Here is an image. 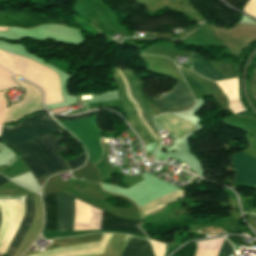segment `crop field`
I'll use <instances>...</instances> for the list:
<instances>
[{
	"label": "crop field",
	"instance_id": "crop-field-9",
	"mask_svg": "<svg viewBox=\"0 0 256 256\" xmlns=\"http://www.w3.org/2000/svg\"><path fill=\"white\" fill-rule=\"evenodd\" d=\"M159 122L168 130L176 134L177 136L183 135L187 130L194 127L193 125L171 115L164 114L158 117Z\"/></svg>",
	"mask_w": 256,
	"mask_h": 256
},
{
	"label": "crop field",
	"instance_id": "crop-field-8",
	"mask_svg": "<svg viewBox=\"0 0 256 256\" xmlns=\"http://www.w3.org/2000/svg\"><path fill=\"white\" fill-rule=\"evenodd\" d=\"M121 256H155L147 240L131 237L124 245Z\"/></svg>",
	"mask_w": 256,
	"mask_h": 256
},
{
	"label": "crop field",
	"instance_id": "crop-field-5",
	"mask_svg": "<svg viewBox=\"0 0 256 256\" xmlns=\"http://www.w3.org/2000/svg\"><path fill=\"white\" fill-rule=\"evenodd\" d=\"M63 23L58 20L44 18L26 13L19 12H0V26H15L21 28H32L41 24Z\"/></svg>",
	"mask_w": 256,
	"mask_h": 256
},
{
	"label": "crop field",
	"instance_id": "crop-field-7",
	"mask_svg": "<svg viewBox=\"0 0 256 256\" xmlns=\"http://www.w3.org/2000/svg\"><path fill=\"white\" fill-rule=\"evenodd\" d=\"M34 209L32 196L25 197V217L20 225V228L5 256H12L25 235L33 218Z\"/></svg>",
	"mask_w": 256,
	"mask_h": 256
},
{
	"label": "crop field",
	"instance_id": "crop-field-14",
	"mask_svg": "<svg viewBox=\"0 0 256 256\" xmlns=\"http://www.w3.org/2000/svg\"><path fill=\"white\" fill-rule=\"evenodd\" d=\"M7 181H9V180H7L6 178L0 176V185L5 183V182H7Z\"/></svg>",
	"mask_w": 256,
	"mask_h": 256
},
{
	"label": "crop field",
	"instance_id": "crop-field-15",
	"mask_svg": "<svg viewBox=\"0 0 256 256\" xmlns=\"http://www.w3.org/2000/svg\"><path fill=\"white\" fill-rule=\"evenodd\" d=\"M248 216L252 217L253 219H256V216L248 214Z\"/></svg>",
	"mask_w": 256,
	"mask_h": 256
},
{
	"label": "crop field",
	"instance_id": "crop-field-6",
	"mask_svg": "<svg viewBox=\"0 0 256 256\" xmlns=\"http://www.w3.org/2000/svg\"><path fill=\"white\" fill-rule=\"evenodd\" d=\"M254 164H256V159L241 152L236 154ZM233 155L232 162H233V167L236 170V176L235 180L236 182H241V183H252L256 184V165L236 156Z\"/></svg>",
	"mask_w": 256,
	"mask_h": 256
},
{
	"label": "crop field",
	"instance_id": "crop-field-13",
	"mask_svg": "<svg viewBox=\"0 0 256 256\" xmlns=\"http://www.w3.org/2000/svg\"><path fill=\"white\" fill-rule=\"evenodd\" d=\"M85 159H86V156H85V153H83L79 157L68 161L67 163L69 165L70 170H74L80 167L84 163Z\"/></svg>",
	"mask_w": 256,
	"mask_h": 256
},
{
	"label": "crop field",
	"instance_id": "crop-field-2",
	"mask_svg": "<svg viewBox=\"0 0 256 256\" xmlns=\"http://www.w3.org/2000/svg\"><path fill=\"white\" fill-rule=\"evenodd\" d=\"M115 69H116V68H115ZM115 69L113 68V69H111V70H112V72H113V74H114V76H115V80H116L117 86H118V88H119L120 102H121L122 107H123V109H124V112H125V114H126L128 123H129V124L131 125V127L135 130V132L141 137V139H142V141H143L144 144L149 143V142L151 143V142L155 141V139L158 140V139L160 138V136H159V134H158V132H157L155 126H154V123H153V120H154L155 116L158 115V114H160L161 111H162V113H164V112L181 111L180 107L178 106V104H177L176 101L174 100L173 96L171 95L170 90H169V92H168L167 94H165L164 96L160 97L159 99H154V100L156 101L157 105L159 106V108L161 109V111H160L159 108H158V106H157L156 103L154 102L153 98H150V97H148L147 95H145V94L143 93V83H142V81H141V77L138 76V75H136L132 70L126 69V70L128 71V73H129L132 77H134V78L137 80V82H138V91H139V94H140V95L142 96V98L146 101V103L148 104V106L150 107V109L152 110V112L154 113V115H155V116H154L153 113L151 112V110L149 109V107L147 106V104L145 103V101H144V100L141 98V96L138 94V92H137V83H136V80L133 79V78L127 73V71H126L125 69H124V70H121L122 73H123V75H124V77H125V79H126V81H127V83H128V85H129V87H130V89H131V92H132V94H133V96H134V99H135V101H136V103H137V105H138V107H139V109H140V111H141V113H142V115H143L145 121H146V122L148 123V125L152 128V130L154 131V133H155L156 136L158 137V139H157V137L155 136V134L153 133V131L151 130V128H150V127L147 125V123L143 120V118H142V116H141V114H140V112H139V110H138V108H137V106H136V104H135V101H134V99H133V97H132V94H131V92H130V89H129V87H128V85H127V83H126V81H125V79H124V77H123L121 71L117 68V71H118V73H119V75H120V77H121V79H122V81H123V83H124V85H125V87H126V90H127L128 96H129V99H130V101H131V103H132V105H133V107H134V109H135V111H136V113H137L139 119H140V120L142 121V123L147 127V129L151 132V134L155 137V139H154V137L150 134V132L145 128V126H144V125L141 123V121L138 119V117H137L135 111L133 110V108H132V106H131V104H130V102H129V99H128L126 90H125V88H124V86H123V84H122V82H121V80H120V78H119L120 83H121L122 88H123V91H124V95H125V99H126L127 105H128V107H129V110H130V113H131V115H132L134 121L136 122V124L141 128V130H142V131L146 134V136L148 137V139H149V142H148L147 137H146L145 134L140 130V128L135 124V122L133 121V119H132V117H131V115H130V113H129L128 107H127L126 102H125V99H124L123 91H122L121 85H120L119 80H118V77H119V76L117 77L118 74L116 75Z\"/></svg>",
	"mask_w": 256,
	"mask_h": 256
},
{
	"label": "crop field",
	"instance_id": "crop-field-3",
	"mask_svg": "<svg viewBox=\"0 0 256 256\" xmlns=\"http://www.w3.org/2000/svg\"><path fill=\"white\" fill-rule=\"evenodd\" d=\"M54 196L57 209L56 229H73V206L71 196L64 193H57L54 194ZM42 199L45 211L43 230L55 229L56 209L54 197L52 194H46ZM140 223L141 221L137 220L120 219L99 209L98 229L143 232L138 228Z\"/></svg>",
	"mask_w": 256,
	"mask_h": 256
},
{
	"label": "crop field",
	"instance_id": "crop-field-10",
	"mask_svg": "<svg viewBox=\"0 0 256 256\" xmlns=\"http://www.w3.org/2000/svg\"><path fill=\"white\" fill-rule=\"evenodd\" d=\"M182 192L180 190H176V191H172L160 198H157L143 206H141L144 214H148L162 206H164L165 204L172 202L174 200H177L179 198H182Z\"/></svg>",
	"mask_w": 256,
	"mask_h": 256
},
{
	"label": "crop field",
	"instance_id": "crop-field-1",
	"mask_svg": "<svg viewBox=\"0 0 256 256\" xmlns=\"http://www.w3.org/2000/svg\"><path fill=\"white\" fill-rule=\"evenodd\" d=\"M61 129L49 113H37L14 126L3 125L1 140L20 152L38 179L68 167L57 153L67 151V147L59 145L60 138L55 135L62 134Z\"/></svg>",
	"mask_w": 256,
	"mask_h": 256
},
{
	"label": "crop field",
	"instance_id": "crop-field-11",
	"mask_svg": "<svg viewBox=\"0 0 256 256\" xmlns=\"http://www.w3.org/2000/svg\"><path fill=\"white\" fill-rule=\"evenodd\" d=\"M172 94L183 111L190 109L194 103L189 92L182 83L172 91Z\"/></svg>",
	"mask_w": 256,
	"mask_h": 256
},
{
	"label": "crop field",
	"instance_id": "crop-field-12",
	"mask_svg": "<svg viewBox=\"0 0 256 256\" xmlns=\"http://www.w3.org/2000/svg\"><path fill=\"white\" fill-rule=\"evenodd\" d=\"M219 243L218 256H229L231 253V246L224 238L217 239Z\"/></svg>",
	"mask_w": 256,
	"mask_h": 256
},
{
	"label": "crop field",
	"instance_id": "crop-field-4",
	"mask_svg": "<svg viewBox=\"0 0 256 256\" xmlns=\"http://www.w3.org/2000/svg\"><path fill=\"white\" fill-rule=\"evenodd\" d=\"M98 111L88 112L78 116H59L52 115L57 121H82L97 117ZM96 119L93 118L83 122H59L63 125L70 133H72L77 139H79L90 159L95 164L99 161L103 154V147L100 140V131L96 125Z\"/></svg>",
	"mask_w": 256,
	"mask_h": 256
}]
</instances>
